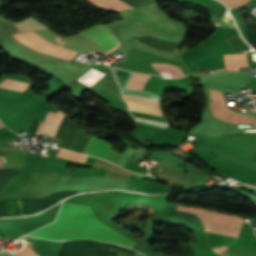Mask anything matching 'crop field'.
Returning a JSON list of instances; mask_svg holds the SVG:
<instances>
[{
    "instance_id": "crop-field-14",
    "label": "crop field",
    "mask_w": 256,
    "mask_h": 256,
    "mask_svg": "<svg viewBox=\"0 0 256 256\" xmlns=\"http://www.w3.org/2000/svg\"><path fill=\"white\" fill-rule=\"evenodd\" d=\"M150 76L151 75L138 74V73L134 72V74L131 76V78L129 79V81H128L127 85H126V88L142 90L146 80Z\"/></svg>"
},
{
    "instance_id": "crop-field-4",
    "label": "crop field",
    "mask_w": 256,
    "mask_h": 256,
    "mask_svg": "<svg viewBox=\"0 0 256 256\" xmlns=\"http://www.w3.org/2000/svg\"><path fill=\"white\" fill-rule=\"evenodd\" d=\"M40 39L75 50V51H102L101 47L80 33L75 36H60L51 30L34 32ZM103 52V51H102Z\"/></svg>"
},
{
    "instance_id": "crop-field-11",
    "label": "crop field",
    "mask_w": 256,
    "mask_h": 256,
    "mask_svg": "<svg viewBox=\"0 0 256 256\" xmlns=\"http://www.w3.org/2000/svg\"><path fill=\"white\" fill-rule=\"evenodd\" d=\"M178 210L200 213V214H205V215L221 217V218H226V219H231V220H236V221L243 222V217H241V216L226 214V213H220V212H214V211L201 209V208L179 206Z\"/></svg>"
},
{
    "instance_id": "crop-field-3",
    "label": "crop field",
    "mask_w": 256,
    "mask_h": 256,
    "mask_svg": "<svg viewBox=\"0 0 256 256\" xmlns=\"http://www.w3.org/2000/svg\"><path fill=\"white\" fill-rule=\"evenodd\" d=\"M19 96L0 92V119L12 131H29L32 118L13 110Z\"/></svg>"
},
{
    "instance_id": "crop-field-16",
    "label": "crop field",
    "mask_w": 256,
    "mask_h": 256,
    "mask_svg": "<svg viewBox=\"0 0 256 256\" xmlns=\"http://www.w3.org/2000/svg\"><path fill=\"white\" fill-rule=\"evenodd\" d=\"M28 85L29 84L27 83L17 82V81L8 80V79H5L0 83L1 88L15 90L19 92H22L23 90L27 89Z\"/></svg>"
},
{
    "instance_id": "crop-field-12",
    "label": "crop field",
    "mask_w": 256,
    "mask_h": 256,
    "mask_svg": "<svg viewBox=\"0 0 256 256\" xmlns=\"http://www.w3.org/2000/svg\"><path fill=\"white\" fill-rule=\"evenodd\" d=\"M227 70H238L237 67L248 66L245 54L223 55Z\"/></svg>"
},
{
    "instance_id": "crop-field-13",
    "label": "crop field",
    "mask_w": 256,
    "mask_h": 256,
    "mask_svg": "<svg viewBox=\"0 0 256 256\" xmlns=\"http://www.w3.org/2000/svg\"><path fill=\"white\" fill-rule=\"evenodd\" d=\"M153 67L160 72L163 77L178 78L184 76L183 71L180 68L172 64H152Z\"/></svg>"
},
{
    "instance_id": "crop-field-25",
    "label": "crop field",
    "mask_w": 256,
    "mask_h": 256,
    "mask_svg": "<svg viewBox=\"0 0 256 256\" xmlns=\"http://www.w3.org/2000/svg\"><path fill=\"white\" fill-rule=\"evenodd\" d=\"M2 127H4V126H3L2 123L0 122V128H2Z\"/></svg>"
},
{
    "instance_id": "crop-field-2",
    "label": "crop field",
    "mask_w": 256,
    "mask_h": 256,
    "mask_svg": "<svg viewBox=\"0 0 256 256\" xmlns=\"http://www.w3.org/2000/svg\"><path fill=\"white\" fill-rule=\"evenodd\" d=\"M145 10H147L154 18H156L159 22L167 19L168 17L161 11L156 3L150 4L147 6H143ZM142 7H138L135 9H131L132 13L136 16L137 19L148 25L149 27L159 23L156 19H154L147 11H145ZM152 29L172 34L178 36H184L185 34V27L183 23L176 21L172 18H169L153 27Z\"/></svg>"
},
{
    "instance_id": "crop-field-8",
    "label": "crop field",
    "mask_w": 256,
    "mask_h": 256,
    "mask_svg": "<svg viewBox=\"0 0 256 256\" xmlns=\"http://www.w3.org/2000/svg\"><path fill=\"white\" fill-rule=\"evenodd\" d=\"M121 98L124 99V100H127V101H133V102H139V103H145V104L160 106L159 100H153V99L123 95V94H121ZM133 102H127L128 109L163 116L161 111H160V107L145 105V104H139V103H133Z\"/></svg>"
},
{
    "instance_id": "crop-field-27",
    "label": "crop field",
    "mask_w": 256,
    "mask_h": 256,
    "mask_svg": "<svg viewBox=\"0 0 256 256\" xmlns=\"http://www.w3.org/2000/svg\"><path fill=\"white\" fill-rule=\"evenodd\" d=\"M161 169V168H160ZM160 171V170H159Z\"/></svg>"
},
{
    "instance_id": "crop-field-20",
    "label": "crop field",
    "mask_w": 256,
    "mask_h": 256,
    "mask_svg": "<svg viewBox=\"0 0 256 256\" xmlns=\"http://www.w3.org/2000/svg\"><path fill=\"white\" fill-rule=\"evenodd\" d=\"M119 157H120V154H118L116 152H113L108 160L116 164L118 159H119Z\"/></svg>"
},
{
    "instance_id": "crop-field-1",
    "label": "crop field",
    "mask_w": 256,
    "mask_h": 256,
    "mask_svg": "<svg viewBox=\"0 0 256 256\" xmlns=\"http://www.w3.org/2000/svg\"><path fill=\"white\" fill-rule=\"evenodd\" d=\"M29 235L59 240L81 238L118 243L132 248L135 241L101 223L90 207L63 202L57 220Z\"/></svg>"
},
{
    "instance_id": "crop-field-10",
    "label": "crop field",
    "mask_w": 256,
    "mask_h": 256,
    "mask_svg": "<svg viewBox=\"0 0 256 256\" xmlns=\"http://www.w3.org/2000/svg\"><path fill=\"white\" fill-rule=\"evenodd\" d=\"M85 1L90 3V4H92L97 9L105 10V11H110V12L119 11L118 9L122 10V9L132 8L130 5L124 3V2H122L120 0H104L108 4L114 6V7L118 8V9L108 5L107 3H105L102 0H85Z\"/></svg>"
},
{
    "instance_id": "crop-field-9",
    "label": "crop field",
    "mask_w": 256,
    "mask_h": 256,
    "mask_svg": "<svg viewBox=\"0 0 256 256\" xmlns=\"http://www.w3.org/2000/svg\"><path fill=\"white\" fill-rule=\"evenodd\" d=\"M112 149L113 146H111L109 143L92 136L88 146L84 151V154L108 159Z\"/></svg>"
},
{
    "instance_id": "crop-field-15",
    "label": "crop field",
    "mask_w": 256,
    "mask_h": 256,
    "mask_svg": "<svg viewBox=\"0 0 256 256\" xmlns=\"http://www.w3.org/2000/svg\"><path fill=\"white\" fill-rule=\"evenodd\" d=\"M104 74H102V73H100V72H98V71H96V70H94V69H91V70H89L87 73H85L83 76H81L78 80L79 81H81V82H83V83H85V84H87V85H91V84H93L96 80H98L101 76H103ZM105 76V75H104ZM102 78V77H101ZM100 78V79H101ZM99 79V80H100ZM97 82V81H96ZM95 82V83H96ZM94 83V84H95ZM93 84V85H94ZM92 86V85H91ZM90 86V87H91Z\"/></svg>"
},
{
    "instance_id": "crop-field-26",
    "label": "crop field",
    "mask_w": 256,
    "mask_h": 256,
    "mask_svg": "<svg viewBox=\"0 0 256 256\" xmlns=\"http://www.w3.org/2000/svg\"><path fill=\"white\" fill-rule=\"evenodd\" d=\"M218 70H225V68L224 69H218ZM218 70H215V71H218Z\"/></svg>"
},
{
    "instance_id": "crop-field-21",
    "label": "crop field",
    "mask_w": 256,
    "mask_h": 256,
    "mask_svg": "<svg viewBox=\"0 0 256 256\" xmlns=\"http://www.w3.org/2000/svg\"><path fill=\"white\" fill-rule=\"evenodd\" d=\"M141 252H142V253H147V254L156 255V256H165V255H162V254H158V253L152 252V251L147 250V249H145V248H143Z\"/></svg>"
},
{
    "instance_id": "crop-field-23",
    "label": "crop field",
    "mask_w": 256,
    "mask_h": 256,
    "mask_svg": "<svg viewBox=\"0 0 256 256\" xmlns=\"http://www.w3.org/2000/svg\"><path fill=\"white\" fill-rule=\"evenodd\" d=\"M135 256H146V255H142L140 253H137V254H135Z\"/></svg>"
},
{
    "instance_id": "crop-field-24",
    "label": "crop field",
    "mask_w": 256,
    "mask_h": 256,
    "mask_svg": "<svg viewBox=\"0 0 256 256\" xmlns=\"http://www.w3.org/2000/svg\"><path fill=\"white\" fill-rule=\"evenodd\" d=\"M40 126H41V123H40ZM40 126H39L38 130L36 131V133H38V131H39V129H40Z\"/></svg>"
},
{
    "instance_id": "crop-field-17",
    "label": "crop field",
    "mask_w": 256,
    "mask_h": 256,
    "mask_svg": "<svg viewBox=\"0 0 256 256\" xmlns=\"http://www.w3.org/2000/svg\"><path fill=\"white\" fill-rule=\"evenodd\" d=\"M58 157L70 159V160H76V161H82L85 162L87 156L77 153H71L67 151L60 150V152L57 154Z\"/></svg>"
},
{
    "instance_id": "crop-field-7",
    "label": "crop field",
    "mask_w": 256,
    "mask_h": 256,
    "mask_svg": "<svg viewBox=\"0 0 256 256\" xmlns=\"http://www.w3.org/2000/svg\"><path fill=\"white\" fill-rule=\"evenodd\" d=\"M99 25H101V24H98L96 26H99ZM96 26H94V27H96ZM94 27H92V28H94ZM89 29H91V28H89ZM89 29H87V30H89ZM87 30H85V31H87ZM82 34L85 35L86 37L92 39L97 44H99L103 48L104 53H106L120 45V42L118 41L116 36L109 30L107 25H101L92 30L84 32ZM109 53H107V54H109ZM107 54H105V55H107Z\"/></svg>"
},
{
    "instance_id": "crop-field-18",
    "label": "crop field",
    "mask_w": 256,
    "mask_h": 256,
    "mask_svg": "<svg viewBox=\"0 0 256 256\" xmlns=\"http://www.w3.org/2000/svg\"><path fill=\"white\" fill-rule=\"evenodd\" d=\"M15 256H38L32 249L27 245L21 253H16Z\"/></svg>"
},
{
    "instance_id": "crop-field-22",
    "label": "crop field",
    "mask_w": 256,
    "mask_h": 256,
    "mask_svg": "<svg viewBox=\"0 0 256 256\" xmlns=\"http://www.w3.org/2000/svg\"><path fill=\"white\" fill-rule=\"evenodd\" d=\"M0 256H13V255L5 254V253H0Z\"/></svg>"
},
{
    "instance_id": "crop-field-19",
    "label": "crop field",
    "mask_w": 256,
    "mask_h": 256,
    "mask_svg": "<svg viewBox=\"0 0 256 256\" xmlns=\"http://www.w3.org/2000/svg\"><path fill=\"white\" fill-rule=\"evenodd\" d=\"M221 1H223L227 6H234V5H242L249 0H221ZM229 8H232V7H229Z\"/></svg>"
},
{
    "instance_id": "crop-field-6",
    "label": "crop field",
    "mask_w": 256,
    "mask_h": 256,
    "mask_svg": "<svg viewBox=\"0 0 256 256\" xmlns=\"http://www.w3.org/2000/svg\"><path fill=\"white\" fill-rule=\"evenodd\" d=\"M198 218L204 224L205 230L208 232L220 233L236 237L242 223L200 215Z\"/></svg>"
},
{
    "instance_id": "crop-field-5",
    "label": "crop field",
    "mask_w": 256,
    "mask_h": 256,
    "mask_svg": "<svg viewBox=\"0 0 256 256\" xmlns=\"http://www.w3.org/2000/svg\"><path fill=\"white\" fill-rule=\"evenodd\" d=\"M213 103H210L215 117L236 124L256 123V118L238 114L227 108L223 93L209 88Z\"/></svg>"
}]
</instances>
